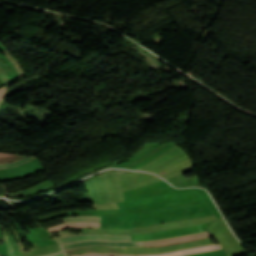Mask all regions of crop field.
Masks as SVG:
<instances>
[{
    "instance_id": "e52e79f7",
    "label": "crop field",
    "mask_w": 256,
    "mask_h": 256,
    "mask_svg": "<svg viewBox=\"0 0 256 256\" xmlns=\"http://www.w3.org/2000/svg\"><path fill=\"white\" fill-rule=\"evenodd\" d=\"M32 159H35L34 157H27V158H24L22 160H19V161H16L14 163H9V164H0V168H6V167H12V166H16L18 164H21L23 162H26L28 160H32Z\"/></svg>"
},
{
    "instance_id": "dd49c442",
    "label": "crop field",
    "mask_w": 256,
    "mask_h": 256,
    "mask_svg": "<svg viewBox=\"0 0 256 256\" xmlns=\"http://www.w3.org/2000/svg\"><path fill=\"white\" fill-rule=\"evenodd\" d=\"M65 222H72V221H99L98 217H89V216H75V217H68L63 218Z\"/></svg>"
},
{
    "instance_id": "5a996713",
    "label": "crop field",
    "mask_w": 256,
    "mask_h": 256,
    "mask_svg": "<svg viewBox=\"0 0 256 256\" xmlns=\"http://www.w3.org/2000/svg\"><path fill=\"white\" fill-rule=\"evenodd\" d=\"M22 157H25V156H22V155H14V156H11V157H8V158L0 159V163L13 161V160H16V159H19V158H22Z\"/></svg>"
},
{
    "instance_id": "d8731c3e",
    "label": "crop field",
    "mask_w": 256,
    "mask_h": 256,
    "mask_svg": "<svg viewBox=\"0 0 256 256\" xmlns=\"http://www.w3.org/2000/svg\"><path fill=\"white\" fill-rule=\"evenodd\" d=\"M1 229L4 231L5 233V238H6V241H7V245H8V252H9V256H13V250H12V247H11V244L9 242V239H8V236H7V233L4 229V227L2 225H0Z\"/></svg>"
},
{
    "instance_id": "8a807250",
    "label": "crop field",
    "mask_w": 256,
    "mask_h": 256,
    "mask_svg": "<svg viewBox=\"0 0 256 256\" xmlns=\"http://www.w3.org/2000/svg\"><path fill=\"white\" fill-rule=\"evenodd\" d=\"M206 237H213L208 232L192 234V235H184L172 238H166L161 240L143 242V247H160L168 244L179 243V242H186L190 240L206 238ZM109 245V246H125V247H142V242H98V241H83L71 244L62 245L64 249H72L76 247H83V246H91V245Z\"/></svg>"
},
{
    "instance_id": "34b2d1b8",
    "label": "crop field",
    "mask_w": 256,
    "mask_h": 256,
    "mask_svg": "<svg viewBox=\"0 0 256 256\" xmlns=\"http://www.w3.org/2000/svg\"><path fill=\"white\" fill-rule=\"evenodd\" d=\"M83 252H100V253H122L124 254L123 248L117 247H84L68 250V255L83 253Z\"/></svg>"
},
{
    "instance_id": "f4fd0767",
    "label": "crop field",
    "mask_w": 256,
    "mask_h": 256,
    "mask_svg": "<svg viewBox=\"0 0 256 256\" xmlns=\"http://www.w3.org/2000/svg\"><path fill=\"white\" fill-rule=\"evenodd\" d=\"M67 227H93L100 228V222H73V223H63L61 225L49 227L48 230L50 233L55 232L57 230H61Z\"/></svg>"
},
{
    "instance_id": "412701ff",
    "label": "crop field",
    "mask_w": 256,
    "mask_h": 256,
    "mask_svg": "<svg viewBox=\"0 0 256 256\" xmlns=\"http://www.w3.org/2000/svg\"><path fill=\"white\" fill-rule=\"evenodd\" d=\"M220 248L221 247L218 244V245L203 246V247H198V248H193V249H188V250H183V251H177V252H172V253H166V254H161V255H137V256H180V255L215 250V249H220Z\"/></svg>"
},
{
    "instance_id": "d1516ede",
    "label": "crop field",
    "mask_w": 256,
    "mask_h": 256,
    "mask_svg": "<svg viewBox=\"0 0 256 256\" xmlns=\"http://www.w3.org/2000/svg\"><path fill=\"white\" fill-rule=\"evenodd\" d=\"M120 256H135V255H120Z\"/></svg>"
},
{
    "instance_id": "ac0d7876",
    "label": "crop field",
    "mask_w": 256,
    "mask_h": 256,
    "mask_svg": "<svg viewBox=\"0 0 256 256\" xmlns=\"http://www.w3.org/2000/svg\"><path fill=\"white\" fill-rule=\"evenodd\" d=\"M60 244L77 242L83 240H102V241H131L129 235L113 236V235H74L56 239Z\"/></svg>"
},
{
    "instance_id": "28ad6ade",
    "label": "crop field",
    "mask_w": 256,
    "mask_h": 256,
    "mask_svg": "<svg viewBox=\"0 0 256 256\" xmlns=\"http://www.w3.org/2000/svg\"><path fill=\"white\" fill-rule=\"evenodd\" d=\"M5 90H6V87L0 89V94L3 93V92H5Z\"/></svg>"
},
{
    "instance_id": "22f410ed",
    "label": "crop field",
    "mask_w": 256,
    "mask_h": 256,
    "mask_svg": "<svg viewBox=\"0 0 256 256\" xmlns=\"http://www.w3.org/2000/svg\"><path fill=\"white\" fill-rule=\"evenodd\" d=\"M0 103H1V101H0Z\"/></svg>"
},
{
    "instance_id": "3316defc",
    "label": "crop field",
    "mask_w": 256,
    "mask_h": 256,
    "mask_svg": "<svg viewBox=\"0 0 256 256\" xmlns=\"http://www.w3.org/2000/svg\"><path fill=\"white\" fill-rule=\"evenodd\" d=\"M51 256H68L64 251H61L59 253H56L54 255H51Z\"/></svg>"
}]
</instances>
